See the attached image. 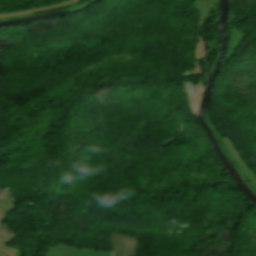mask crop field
Instances as JSON below:
<instances>
[{
	"mask_svg": "<svg viewBox=\"0 0 256 256\" xmlns=\"http://www.w3.org/2000/svg\"><path fill=\"white\" fill-rule=\"evenodd\" d=\"M113 256H136V238L111 234Z\"/></svg>",
	"mask_w": 256,
	"mask_h": 256,
	"instance_id": "1",
	"label": "crop field"
},
{
	"mask_svg": "<svg viewBox=\"0 0 256 256\" xmlns=\"http://www.w3.org/2000/svg\"><path fill=\"white\" fill-rule=\"evenodd\" d=\"M11 195L12 193L9 190H6L5 193L0 197V240L4 244L8 243L17 235L1 223L10 204L14 201Z\"/></svg>",
	"mask_w": 256,
	"mask_h": 256,
	"instance_id": "2",
	"label": "crop field"
},
{
	"mask_svg": "<svg viewBox=\"0 0 256 256\" xmlns=\"http://www.w3.org/2000/svg\"><path fill=\"white\" fill-rule=\"evenodd\" d=\"M0 243H1V242H0ZM0 255H1V256H9V255L3 254V253H1V252H0Z\"/></svg>",
	"mask_w": 256,
	"mask_h": 256,
	"instance_id": "3",
	"label": "crop field"
},
{
	"mask_svg": "<svg viewBox=\"0 0 256 256\" xmlns=\"http://www.w3.org/2000/svg\"><path fill=\"white\" fill-rule=\"evenodd\" d=\"M0 193H3V191H2V190H0Z\"/></svg>",
	"mask_w": 256,
	"mask_h": 256,
	"instance_id": "4",
	"label": "crop field"
}]
</instances>
